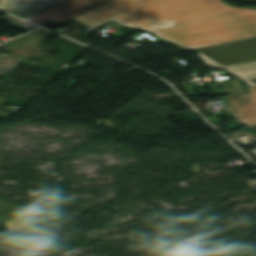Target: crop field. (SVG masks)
<instances>
[{
    "instance_id": "6",
    "label": "crop field",
    "mask_w": 256,
    "mask_h": 256,
    "mask_svg": "<svg viewBox=\"0 0 256 256\" xmlns=\"http://www.w3.org/2000/svg\"><path fill=\"white\" fill-rule=\"evenodd\" d=\"M241 80H226V81H218L216 85H206V86H196L198 93H200L201 87H210L215 95L218 94H244L249 93V91L245 90L240 83ZM229 82L233 84L234 87H230ZM215 86H221L223 89H217ZM196 95V94H195Z\"/></svg>"
},
{
    "instance_id": "5",
    "label": "crop field",
    "mask_w": 256,
    "mask_h": 256,
    "mask_svg": "<svg viewBox=\"0 0 256 256\" xmlns=\"http://www.w3.org/2000/svg\"><path fill=\"white\" fill-rule=\"evenodd\" d=\"M67 0H23L10 13L23 19Z\"/></svg>"
},
{
    "instance_id": "7",
    "label": "crop field",
    "mask_w": 256,
    "mask_h": 256,
    "mask_svg": "<svg viewBox=\"0 0 256 256\" xmlns=\"http://www.w3.org/2000/svg\"><path fill=\"white\" fill-rule=\"evenodd\" d=\"M17 64L13 57L0 52V77H5Z\"/></svg>"
},
{
    "instance_id": "8",
    "label": "crop field",
    "mask_w": 256,
    "mask_h": 256,
    "mask_svg": "<svg viewBox=\"0 0 256 256\" xmlns=\"http://www.w3.org/2000/svg\"><path fill=\"white\" fill-rule=\"evenodd\" d=\"M4 18H6V19H8V20H10V21H12V22H14V23L11 24L12 26H14V27H16V28H19V29H21V30H24V31H26V32H29V31H31V30L37 28V27H35V26H33V25H31V24H29V23L23 21V20H20V19H18V18H15V17H13V16H10V15H8V16H6V17H4Z\"/></svg>"
},
{
    "instance_id": "12",
    "label": "crop field",
    "mask_w": 256,
    "mask_h": 256,
    "mask_svg": "<svg viewBox=\"0 0 256 256\" xmlns=\"http://www.w3.org/2000/svg\"><path fill=\"white\" fill-rule=\"evenodd\" d=\"M2 20H6V19H4V18L0 19V21H2ZM7 21H8V20H7ZM8 22H10V21H8ZM10 23H12V22H10Z\"/></svg>"
},
{
    "instance_id": "4",
    "label": "crop field",
    "mask_w": 256,
    "mask_h": 256,
    "mask_svg": "<svg viewBox=\"0 0 256 256\" xmlns=\"http://www.w3.org/2000/svg\"><path fill=\"white\" fill-rule=\"evenodd\" d=\"M248 90L251 94L228 96L232 105L228 111L234 120L247 127L256 125V88Z\"/></svg>"
},
{
    "instance_id": "9",
    "label": "crop field",
    "mask_w": 256,
    "mask_h": 256,
    "mask_svg": "<svg viewBox=\"0 0 256 256\" xmlns=\"http://www.w3.org/2000/svg\"><path fill=\"white\" fill-rule=\"evenodd\" d=\"M239 133L250 134L252 137L256 138V126L241 129V130H237V131H234V132H230L231 135L239 134Z\"/></svg>"
},
{
    "instance_id": "10",
    "label": "crop field",
    "mask_w": 256,
    "mask_h": 256,
    "mask_svg": "<svg viewBox=\"0 0 256 256\" xmlns=\"http://www.w3.org/2000/svg\"><path fill=\"white\" fill-rule=\"evenodd\" d=\"M19 0H0V9L7 11Z\"/></svg>"
},
{
    "instance_id": "11",
    "label": "crop field",
    "mask_w": 256,
    "mask_h": 256,
    "mask_svg": "<svg viewBox=\"0 0 256 256\" xmlns=\"http://www.w3.org/2000/svg\"><path fill=\"white\" fill-rule=\"evenodd\" d=\"M8 102H9L8 99H6L4 97H0V107L7 104ZM12 114H13L12 112L0 110V117L9 118Z\"/></svg>"
},
{
    "instance_id": "2",
    "label": "crop field",
    "mask_w": 256,
    "mask_h": 256,
    "mask_svg": "<svg viewBox=\"0 0 256 256\" xmlns=\"http://www.w3.org/2000/svg\"><path fill=\"white\" fill-rule=\"evenodd\" d=\"M198 50L208 67L225 69L244 79L247 88L256 87V38Z\"/></svg>"
},
{
    "instance_id": "1",
    "label": "crop field",
    "mask_w": 256,
    "mask_h": 256,
    "mask_svg": "<svg viewBox=\"0 0 256 256\" xmlns=\"http://www.w3.org/2000/svg\"><path fill=\"white\" fill-rule=\"evenodd\" d=\"M74 20L93 29L114 20L184 50L256 36V9L223 0H114Z\"/></svg>"
},
{
    "instance_id": "3",
    "label": "crop field",
    "mask_w": 256,
    "mask_h": 256,
    "mask_svg": "<svg viewBox=\"0 0 256 256\" xmlns=\"http://www.w3.org/2000/svg\"><path fill=\"white\" fill-rule=\"evenodd\" d=\"M112 0H69L26 20L46 28L65 23Z\"/></svg>"
}]
</instances>
